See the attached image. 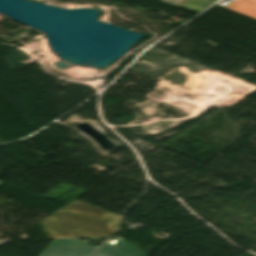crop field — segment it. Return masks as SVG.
<instances>
[{
    "label": "crop field",
    "instance_id": "1",
    "mask_svg": "<svg viewBox=\"0 0 256 256\" xmlns=\"http://www.w3.org/2000/svg\"><path fill=\"white\" fill-rule=\"evenodd\" d=\"M120 218L75 200L39 223L48 238L108 237L116 231Z\"/></svg>",
    "mask_w": 256,
    "mask_h": 256
},
{
    "label": "crop field",
    "instance_id": "2",
    "mask_svg": "<svg viewBox=\"0 0 256 256\" xmlns=\"http://www.w3.org/2000/svg\"><path fill=\"white\" fill-rule=\"evenodd\" d=\"M90 243L77 239L54 240L39 256H89L96 248L89 246Z\"/></svg>",
    "mask_w": 256,
    "mask_h": 256
},
{
    "label": "crop field",
    "instance_id": "3",
    "mask_svg": "<svg viewBox=\"0 0 256 256\" xmlns=\"http://www.w3.org/2000/svg\"><path fill=\"white\" fill-rule=\"evenodd\" d=\"M145 251L123 239L113 246H101L93 256H148Z\"/></svg>",
    "mask_w": 256,
    "mask_h": 256
},
{
    "label": "crop field",
    "instance_id": "4",
    "mask_svg": "<svg viewBox=\"0 0 256 256\" xmlns=\"http://www.w3.org/2000/svg\"><path fill=\"white\" fill-rule=\"evenodd\" d=\"M223 8L256 20V0H235Z\"/></svg>",
    "mask_w": 256,
    "mask_h": 256
},
{
    "label": "crop field",
    "instance_id": "5",
    "mask_svg": "<svg viewBox=\"0 0 256 256\" xmlns=\"http://www.w3.org/2000/svg\"><path fill=\"white\" fill-rule=\"evenodd\" d=\"M159 1H162V2H165V3L171 4V5L177 6L180 3H182L184 0H159Z\"/></svg>",
    "mask_w": 256,
    "mask_h": 256
},
{
    "label": "crop field",
    "instance_id": "6",
    "mask_svg": "<svg viewBox=\"0 0 256 256\" xmlns=\"http://www.w3.org/2000/svg\"><path fill=\"white\" fill-rule=\"evenodd\" d=\"M3 182H0V184H2Z\"/></svg>",
    "mask_w": 256,
    "mask_h": 256
}]
</instances>
